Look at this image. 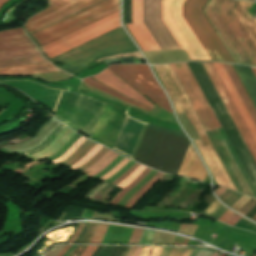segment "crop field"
<instances>
[{"instance_id": "7", "label": "crop field", "mask_w": 256, "mask_h": 256, "mask_svg": "<svg viewBox=\"0 0 256 256\" xmlns=\"http://www.w3.org/2000/svg\"><path fill=\"white\" fill-rule=\"evenodd\" d=\"M120 26L121 25L119 23L118 11L102 20H99L81 30H78L62 39H59L43 47V49L45 50L47 56L52 59Z\"/></svg>"}, {"instance_id": "8", "label": "crop field", "mask_w": 256, "mask_h": 256, "mask_svg": "<svg viewBox=\"0 0 256 256\" xmlns=\"http://www.w3.org/2000/svg\"><path fill=\"white\" fill-rule=\"evenodd\" d=\"M109 68L144 95L150 97L158 106L172 112L165 93L154 80L148 66L112 65Z\"/></svg>"}, {"instance_id": "47", "label": "crop field", "mask_w": 256, "mask_h": 256, "mask_svg": "<svg viewBox=\"0 0 256 256\" xmlns=\"http://www.w3.org/2000/svg\"><path fill=\"white\" fill-rule=\"evenodd\" d=\"M187 242H188V239H184L177 236L173 245H186Z\"/></svg>"}, {"instance_id": "61", "label": "crop field", "mask_w": 256, "mask_h": 256, "mask_svg": "<svg viewBox=\"0 0 256 256\" xmlns=\"http://www.w3.org/2000/svg\"><path fill=\"white\" fill-rule=\"evenodd\" d=\"M249 1H254V0H249ZM254 2H256V1H254Z\"/></svg>"}, {"instance_id": "3", "label": "crop field", "mask_w": 256, "mask_h": 256, "mask_svg": "<svg viewBox=\"0 0 256 256\" xmlns=\"http://www.w3.org/2000/svg\"><path fill=\"white\" fill-rule=\"evenodd\" d=\"M239 0H210L205 14L238 63L256 65V46L233 13Z\"/></svg>"}, {"instance_id": "2", "label": "crop field", "mask_w": 256, "mask_h": 256, "mask_svg": "<svg viewBox=\"0 0 256 256\" xmlns=\"http://www.w3.org/2000/svg\"><path fill=\"white\" fill-rule=\"evenodd\" d=\"M163 0L162 20L177 42L180 49L186 51L190 59L219 60L233 62V58L203 14L208 0ZM183 17L198 38L185 22ZM132 22L127 27L143 51L160 50L152 36L142 23V0H132Z\"/></svg>"}, {"instance_id": "15", "label": "crop field", "mask_w": 256, "mask_h": 256, "mask_svg": "<svg viewBox=\"0 0 256 256\" xmlns=\"http://www.w3.org/2000/svg\"><path fill=\"white\" fill-rule=\"evenodd\" d=\"M93 77L99 82L119 91L120 93L135 101L145 104L151 108L155 106L146 99H144L142 96H140L138 93H136L133 89H131L127 84H125L122 80H120L108 69L102 72L101 74Z\"/></svg>"}, {"instance_id": "36", "label": "crop field", "mask_w": 256, "mask_h": 256, "mask_svg": "<svg viewBox=\"0 0 256 256\" xmlns=\"http://www.w3.org/2000/svg\"><path fill=\"white\" fill-rule=\"evenodd\" d=\"M129 162V160L127 159H123V161L118 164L112 171H110L109 173H107L106 175H104L102 178H100V180L104 181L106 179H108L109 177H111L113 174L117 173L125 164H127Z\"/></svg>"}, {"instance_id": "44", "label": "crop field", "mask_w": 256, "mask_h": 256, "mask_svg": "<svg viewBox=\"0 0 256 256\" xmlns=\"http://www.w3.org/2000/svg\"><path fill=\"white\" fill-rule=\"evenodd\" d=\"M84 223H81L77 229V231L75 232V234L72 236V238L69 240L68 243H74V241L76 240L77 236L79 235V233L81 232L82 228H83Z\"/></svg>"}, {"instance_id": "52", "label": "crop field", "mask_w": 256, "mask_h": 256, "mask_svg": "<svg viewBox=\"0 0 256 256\" xmlns=\"http://www.w3.org/2000/svg\"><path fill=\"white\" fill-rule=\"evenodd\" d=\"M77 246H72L64 256H68Z\"/></svg>"}, {"instance_id": "39", "label": "crop field", "mask_w": 256, "mask_h": 256, "mask_svg": "<svg viewBox=\"0 0 256 256\" xmlns=\"http://www.w3.org/2000/svg\"><path fill=\"white\" fill-rule=\"evenodd\" d=\"M196 227L197 226H193V225H181L178 231L192 235Z\"/></svg>"}, {"instance_id": "38", "label": "crop field", "mask_w": 256, "mask_h": 256, "mask_svg": "<svg viewBox=\"0 0 256 256\" xmlns=\"http://www.w3.org/2000/svg\"><path fill=\"white\" fill-rule=\"evenodd\" d=\"M140 166V164L135 163L126 173H124L119 179H117L115 182H113L112 184L114 185H118L121 181H123L124 179H126L127 177H129V175L131 173H133L138 167Z\"/></svg>"}, {"instance_id": "50", "label": "crop field", "mask_w": 256, "mask_h": 256, "mask_svg": "<svg viewBox=\"0 0 256 256\" xmlns=\"http://www.w3.org/2000/svg\"><path fill=\"white\" fill-rule=\"evenodd\" d=\"M71 245H66L56 256H63Z\"/></svg>"}, {"instance_id": "35", "label": "crop field", "mask_w": 256, "mask_h": 256, "mask_svg": "<svg viewBox=\"0 0 256 256\" xmlns=\"http://www.w3.org/2000/svg\"><path fill=\"white\" fill-rule=\"evenodd\" d=\"M97 143L92 142L77 158H75L73 161H71L69 164L65 165L67 167L71 166L72 164L76 163L77 161L81 160L86 156V154L91 151ZM73 166V165H72Z\"/></svg>"}, {"instance_id": "48", "label": "crop field", "mask_w": 256, "mask_h": 256, "mask_svg": "<svg viewBox=\"0 0 256 256\" xmlns=\"http://www.w3.org/2000/svg\"><path fill=\"white\" fill-rule=\"evenodd\" d=\"M230 211V210H229ZM228 210L219 218V220L223 222H227V220L232 216L233 213L229 212ZM218 220V221H219Z\"/></svg>"}, {"instance_id": "23", "label": "crop field", "mask_w": 256, "mask_h": 256, "mask_svg": "<svg viewBox=\"0 0 256 256\" xmlns=\"http://www.w3.org/2000/svg\"><path fill=\"white\" fill-rule=\"evenodd\" d=\"M164 174L158 172L142 189H140L125 205L126 208L132 209L136 201L148 191L156 182H158Z\"/></svg>"}, {"instance_id": "40", "label": "crop field", "mask_w": 256, "mask_h": 256, "mask_svg": "<svg viewBox=\"0 0 256 256\" xmlns=\"http://www.w3.org/2000/svg\"><path fill=\"white\" fill-rule=\"evenodd\" d=\"M143 230L134 229L128 244L138 243Z\"/></svg>"}, {"instance_id": "25", "label": "crop field", "mask_w": 256, "mask_h": 256, "mask_svg": "<svg viewBox=\"0 0 256 256\" xmlns=\"http://www.w3.org/2000/svg\"><path fill=\"white\" fill-rule=\"evenodd\" d=\"M227 209L220 205V203L215 200L204 212L203 215L210 216L214 219H218Z\"/></svg>"}, {"instance_id": "18", "label": "crop field", "mask_w": 256, "mask_h": 256, "mask_svg": "<svg viewBox=\"0 0 256 256\" xmlns=\"http://www.w3.org/2000/svg\"><path fill=\"white\" fill-rule=\"evenodd\" d=\"M33 46L35 45L22 28L0 32V51Z\"/></svg>"}, {"instance_id": "9", "label": "crop field", "mask_w": 256, "mask_h": 256, "mask_svg": "<svg viewBox=\"0 0 256 256\" xmlns=\"http://www.w3.org/2000/svg\"><path fill=\"white\" fill-rule=\"evenodd\" d=\"M102 0H49V8L29 19L26 31L30 34L83 10Z\"/></svg>"}, {"instance_id": "43", "label": "crop field", "mask_w": 256, "mask_h": 256, "mask_svg": "<svg viewBox=\"0 0 256 256\" xmlns=\"http://www.w3.org/2000/svg\"><path fill=\"white\" fill-rule=\"evenodd\" d=\"M96 248L97 246H87L86 250L81 256H92Z\"/></svg>"}, {"instance_id": "31", "label": "crop field", "mask_w": 256, "mask_h": 256, "mask_svg": "<svg viewBox=\"0 0 256 256\" xmlns=\"http://www.w3.org/2000/svg\"><path fill=\"white\" fill-rule=\"evenodd\" d=\"M108 225H99L91 243H100Z\"/></svg>"}, {"instance_id": "28", "label": "crop field", "mask_w": 256, "mask_h": 256, "mask_svg": "<svg viewBox=\"0 0 256 256\" xmlns=\"http://www.w3.org/2000/svg\"><path fill=\"white\" fill-rule=\"evenodd\" d=\"M65 127V125H61L59 128H57L53 133L52 135L44 142L41 144V146L33 151H29V152H25L26 155L28 154H32V153H35V152H38L42 149H44L53 139L54 137ZM24 154V155H25Z\"/></svg>"}, {"instance_id": "16", "label": "crop field", "mask_w": 256, "mask_h": 256, "mask_svg": "<svg viewBox=\"0 0 256 256\" xmlns=\"http://www.w3.org/2000/svg\"><path fill=\"white\" fill-rule=\"evenodd\" d=\"M62 123L58 122L56 119L52 118L49 120L42 130L32 139L18 143L16 145L5 147V150L8 152H25L33 150L44 142L51 133L61 125Z\"/></svg>"}, {"instance_id": "5", "label": "crop field", "mask_w": 256, "mask_h": 256, "mask_svg": "<svg viewBox=\"0 0 256 256\" xmlns=\"http://www.w3.org/2000/svg\"><path fill=\"white\" fill-rule=\"evenodd\" d=\"M105 105L87 95L66 90L55 117L77 132L81 130L92 136Z\"/></svg>"}, {"instance_id": "53", "label": "crop field", "mask_w": 256, "mask_h": 256, "mask_svg": "<svg viewBox=\"0 0 256 256\" xmlns=\"http://www.w3.org/2000/svg\"><path fill=\"white\" fill-rule=\"evenodd\" d=\"M191 251H192V250L185 249V251H184V253H183L182 256H188V255H190Z\"/></svg>"}, {"instance_id": "37", "label": "crop field", "mask_w": 256, "mask_h": 256, "mask_svg": "<svg viewBox=\"0 0 256 256\" xmlns=\"http://www.w3.org/2000/svg\"><path fill=\"white\" fill-rule=\"evenodd\" d=\"M108 149L102 148L93 158H91L84 166L78 168L79 170H84L90 165H92L102 154H104Z\"/></svg>"}, {"instance_id": "13", "label": "crop field", "mask_w": 256, "mask_h": 256, "mask_svg": "<svg viewBox=\"0 0 256 256\" xmlns=\"http://www.w3.org/2000/svg\"><path fill=\"white\" fill-rule=\"evenodd\" d=\"M146 124L127 115L113 150L133 159Z\"/></svg>"}, {"instance_id": "11", "label": "crop field", "mask_w": 256, "mask_h": 256, "mask_svg": "<svg viewBox=\"0 0 256 256\" xmlns=\"http://www.w3.org/2000/svg\"><path fill=\"white\" fill-rule=\"evenodd\" d=\"M203 65L256 161V142L247 128L243 118L241 117L237 107L235 106L231 96L229 95L225 85L223 84L219 74L217 73L213 63H203Z\"/></svg>"}, {"instance_id": "14", "label": "crop field", "mask_w": 256, "mask_h": 256, "mask_svg": "<svg viewBox=\"0 0 256 256\" xmlns=\"http://www.w3.org/2000/svg\"><path fill=\"white\" fill-rule=\"evenodd\" d=\"M47 60L37 47L0 52V67L16 66Z\"/></svg>"}, {"instance_id": "29", "label": "crop field", "mask_w": 256, "mask_h": 256, "mask_svg": "<svg viewBox=\"0 0 256 256\" xmlns=\"http://www.w3.org/2000/svg\"><path fill=\"white\" fill-rule=\"evenodd\" d=\"M163 248L158 247H144L140 256H159Z\"/></svg>"}, {"instance_id": "21", "label": "crop field", "mask_w": 256, "mask_h": 256, "mask_svg": "<svg viewBox=\"0 0 256 256\" xmlns=\"http://www.w3.org/2000/svg\"><path fill=\"white\" fill-rule=\"evenodd\" d=\"M251 5V2L240 0L233 11L256 44V20H253L248 11Z\"/></svg>"}, {"instance_id": "58", "label": "crop field", "mask_w": 256, "mask_h": 256, "mask_svg": "<svg viewBox=\"0 0 256 256\" xmlns=\"http://www.w3.org/2000/svg\"><path fill=\"white\" fill-rule=\"evenodd\" d=\"M7 0H0V6L3 5L4 2H6Z\"/></svg>"}, {"instance_id": "46", "label": "crop field", "mask_w": 256, "mask_h": 256, "mask_svg": "<svg viewBox=\"0 0 256 256\" xmlns=\"http://www.w3.org/2000/svg\"><path fill=\"white\" fill-rule=\"evenodd\" d=\"M184 249L172 248L168 256H180Z\"/></svg>"}, {"instance_id": "49", "label": "crop field", "mask_w": 256, "mask_h": 256, "mask_svg": "<svg viewBox=\"0 0 256 256\" xmlns=\"http://www.w3.org/2000/svg\"><path fill=\"white\" fill-rule=\"evenodd\" d=\"M211 254H212V252L200 250V252L196 256H210Z\"/></svg>"}, {"instance_id": "30", "label": "crop field", "mask_w": 256, "mask_h": 256, "mask_svg": "<svg viewBox=\"0 0 256 256\" xmlns=\"http://www.w3.org/2000/svg\"><path fill=\"white\" fill-rule=\"evenodd\" d=\"M90 143H91V141H89V140L85 141L70 157H68L67 159H65L64 161H62L58 164L64 165V164L70 162L75 157H77Z\"/></svg>"}, {"instance_id": "4", "label": "crop field", "mask_w": 256, "mask_h": 256, "mask_svg": "<svg viewBox=\"0 0 256 256\" xmlns=\"http://www.w3.org/2000/svg\"><path fill=\"white\" fill-rule=\"evenodd\" d=\"M135 51L137 49L122 27H120L53 59V61L66 62L60 68L73 74L95 59Z\"/></svg>"}, {"instance_id": "17", "label": "crop field", "mask_w": 256, "mask_h": 256, "mask_svg": "<svg viewBox=\"0 0 256 256\" xmlns=\"http://www.w3.org/2000/svg\"><path fill=\"white\" fill-rule=\"evenodd\" d=\"M177 175L204 181L207 173L190 144Z\"/></svg>"}, {"instance_id": "32", "label": "crop field", "mask_w": 256, "mask_h": 256, "mask_svg": "<svg viewBox=\"0 0 256 256\" xmlns=\"http://www.w3.org/2000/svg\"><path fill=\"white\" fill-rule=\"evenodd\" d=\"M112 153H114V152H112L110 150L107 151L100 159H98V161L95 164H93L90 168H88V169H86V170H84L82 172H84L86 174L92 172L94 169H96L98 166H100L103 163V161L106 158H108Z\"/></svg>"}, {"instance_id": "20", "label": "crop field", "mask_w": 256, "mask_h": 256, "mask_svg": "<svg viewBox=\"0 0 256 256\" xmlns=\"http://www.w3.org/2000/svg\"><path fill=\"white\" fill-rule=\"evenodd\" d=\"M74 134L76 133L67 127L44 150L27 157L34 161L50 157L55 154Z\"/></svg>"}, {"instance_id": "56", "label": "crop field", "mask_w": 256, "mask_h": 256, "mask_svg": "<svg viewBox=\"0 0 256 256\" xmlns=\"http://www.w3.org/2000/svg\"><path fill=\"white\" fill-rule=\"evenodd\" d=\"M198 251H199V250L194 249L193 252H192V254H191L190 256H195Z\"/></svg>"}, {"instance_id": "34", "label": "crop field", "mask_w": 256, "mask_h": 256, "mask_svg": "<svg viewBox=\"0 0 256 256\" xmlns=\"http://www.w3.org/2000/svg\"><path fill=\"white\" fill-rule=\"evenodd\" d=\"M118 156L119 155L114 153L99 168H97L95 171H93L92 173H90V174H88L86 176L92 177V176L98 174L102 169H104L106 166H108Z\"/></svg>"}, {"instance_id": "10", "label": "crop field", "mask_w": 256, "mask_h": 256, "mask_svg": "<svg viewBox=\"0 0 256 256\" xmlns=\"http://www.w3.org/2000/svg\"><path fill=\"white\" fill-rule=\"evenodd\" d=\"M214 65H215L218 73L220 74L224 84L226 85L230 95L232 96L236 106L238 107L242 117L244 118L248 128L250 129L253 137L256 140V127H255V125H256V109L254 108L250 98L248 97L244 87L242 86V84H241L238 76L236 75L232 65L223 64L227 74L229 75L233 85L235 86L239 96L241 97V99H242L245 107L247 108L251 118L253 119L255 125H254L252 119L250 118L246 108L244 107L240 97L238 96L234 86L232 85L228 75L226 74L222 64L214 63Z\"/></svg>"}, {"instance_id": "27", "label": "crop field", "mask_w": 256, "mask_h": 256, "mask_svg": "<svg viewBox=\"0 0 256 256\" xmlns=\"http://www.w3.org/2000/svg\"><path fill=\"white\" fill-rule=\"evenodd\" d=\"M242 195L231 191L229 189L226 190V192L220 196L219 198L229 207L234 204L239 198H241Z\"/></svg>"}, {"instance_id": "59", "label": "crop field", "mask_w": 256, "mask_h": 256, "mask_svg": "<svg viewBox=\"0 0 256 256\" xmlns=\"http://www.w3.org/2000/svg\"><path fill=\"white\" fill-rule=\"evenodd\" d=\"M211 256H217V254H216V253H214V254H212Z\"/></svg>"}, {"instance_id": "24", "label": "crop field", "mask_w": 256, "mask_h": 256, "mask_svg": "<svg viewBox=\"0 0 256 256\" xmlns=\"http://www.w3.org/2000/svg\"><path fill=\"white\" fill-rule=\"evenodd\" d=\"M83 81L89 83L90 85L94 86L95 88H97V89H99V90H101V91H103L105 93H108V94H110L112 96H115L117 98H120V99H122V100H124V101H126V102H128L130 104L136 105L138 107H141V108H144V109L150 111V109H148V108H146V107H144V106H142V105H140V104H138V103H136V102H134V101H132V100H130L128 98H125V97L119 95L118 93L112 91L111 89L105 87L104 85H102V84H100V83H98V82H96V81H94V80H92L90 78H85V79H83Z\"/></svg>"}, {"instance_id": "60", "label": "crop field", "mask_w": 256, "mask_h": 256, "mask_svg": "<svg viewBox=\"0 0 256 256\" xmlns=\"http://www.w3.org/2000/svg\"><path fill=\"white\" fill-rule=\"evenodd\" d=\"M252 220L256 221V216Z\"/></svg>"}, {"instance_id": "57", "label": "crop field", "mask_w": 256, "mask_h": 256, "mask_svg": "<svg viewBox=\"0 0 256 256\" xmlns=\"http://www.w3.org/2000/svg\"><path fill=\"white\" fill-rule=\"evenodd\" d=\"M251 69H252V71H253V73H254V75L256 77V68L251 67Z\"/></svg>"}, {"instance_id": "54", "label": "crop field", "mask_w": 256, "mask_h": 256, "mask_svg": "<svg viewBox=\"0 0 256 256\" xmlns=\"http://www.w3.org/2000/svg\"><path fill=\"white\" fill-rule=\"evenodd\" d=\"M142 250V247H138L135 254L133 256H139L140 252Z\"/></svg>"}, {"instance_id": "51", "label": "crop field", "mask_w": 256, "mask_h": 256, "mask_svg": "<svg viewBox=\"0 0 256 256\" xmlns=\"http://www.w3.org/2000/svg\"><path fill=\"white\" fill-rule=\"evenodd\" d=\"M226 189L219 187L215 190V194L219 197Z\"/></svg>"}, {"instance_id": "6", "label": "crop field", "mask_w": 256, "mask_h": 256, "mask_svg": "<svg viewBox=\"0 0 256 256\" xmlns=\"http://www.w3.org/2000/svg\"><path fill=\"white\" fill-rule=\"evenodd\" d=\"M118 10L119 0H106L45 29H42L32 34V36L43 47Z\"/></svg>"}, {"instance_id": "19", "label": "crop field", "mask_w": 256, "mask_h": 256, "mask_svg": "<svg viewBox=\"0 0 256 256\" xmlns=\"http://www.w3.org/2000/svg\"><path fill=\"white\" fill-rule=\"evenodd\" d=\"M50 62L23 65L16 67L0 68V76L7 75H33L41 73L58 72Z\"/></svg>"}, {"instance_id": "42", "label": "crop field", "mask_w": 256, "mask_h": 256, "mask_svg": "<svg viewBox=\"0 0 256 256\" xmlns=\"http://www.w3.org/2000/svg\"><path fill=\"white\" fill-rule=\"evenodd\" d=\"M250 198L249 197H245L243 196L236 204H234L232 207V209L234 210H238L242 205H244Z\"/></svg>"}, {"instance_id": "26", "label": "crop field", "mask_w": 256, "mask_h": 256, "mask_svg": "<svg viewBox=\"0 0 256 256\" xmlns=\"http://www.w3.org/2000/svg\"><path fill=\"white\" fill-rule=\"evenodd\" d=\"M151 169L146 168L135 180H133L124 190H122L113 200L112 204H117L120 199L129 191L131 190L143 177H145Z\"/></svg>"}, {"instance_id": "1", "label": "crop field", "mask_w": 256, "mask_h": 256, "mask_svg": "<svg viewBox=\"0 0 256 256\" xmlns=\"http://www.w3.org/2000/svg\"><path fill=\"white\" fill-rule=\"evenodd\" d=\"M182 65H183L186 73L188 74L192 84L194 85L198 95L200 96L204 106L206 107L210 117L212 118L216 128H219L220 125H219L215 115L213 114L208 102L206 101L201 89L199 88L194 76L192 75L187 63H182ZM182 65H181V63L176 64L181 76L183 77L188 89L190 90V92H191L196 104L198 105L203 117L205 118L210 130L215 129V126H214L211 118L209 117L205 107L203 106L199 96L197 95V93H196L193 85L191 84L187 74L185 73ZM170 66H171L175 76L177 77L182 89L184 90L189 102L191 103L196 115L198 116L202 126L204 127L205 131L209 130L204 118L202 117L197 105L195 104V102H194L189 90L187 89L182 77L180 76L175 64H170ZM170 66H169V64H164V65H156V66H154V68H155L159 78L161 79L165 89L167 90V92H168V94H169V96H170V98H171V100L174 104L177 114L179 115V114H183L185 112L186 117L188 118L190 123L193 125L195 131L197 132L201 141H197V140H194V141L196 142L200 152L202 153V155H203L206 163L208 164L212 174L214 175L218 185H222V186H225V187H227L229 189H233V190L237 189V191H239L243 194L246 193V195H248L250 197H253L250 189L248 188L244 178L242 177L239 169L237 168L233 158L231 157L228 149L226 148V146H225L222 138L220 137L217 129L212 130V133H213L215 139L217 140L220 148L222 149L225 157L227 158V160H228L231 168L233 169L236 177L238 178L241 186L243 187L245 193H244L242 187L240 186L237 178L235 177L232 169L230 168V166H229L226 158L224 157L221 149L219 148L216 140L214 139L211 131H208L206 133H207L209 139L211 140L216 152L218 153L223 165L225 166L230 178L232 179V181H233V183L236 187V189H235V187H234L233 183L231 182L227 172L225 171L222 163L220 162L216 152L214 151L211 143L209 142L205 132L203 131L196 115L194 114L187 98L185 97L178 81L176 80ZM182 108H183L184 112H183Z\"/></svg>"}, {"instance_id": "22", "label": "crop field", "mask_w": 256, "mask_h": 256, "mask_svg": "<svg viewBox=\"0 0 256 256\" xmlns=\"http://www.w3.org/2000/svg\"><path fill=\"white\" fill-rule=\"evenodd\" d=\"M235 67L256 104V78L254 77L250 67L237 65H235Z\"/></svg>"}, {"instance_id": "41", "label": "crop field", "mask_w": 256, "mask_h": 256, "mask_svg": "<svg viewBox=\"0 0 256 256\" xmlns=\"http://www.w3.org/2000/svg\"><path fill=\"white\" fill-rule=\"evenodd\" d=\"M65 246V245H64ZM64 246H55L42 256H55Z\"/></svg>"}, {"instance_id": "33", "label": "crop field", "mask_w": 256, "mask_h": 256, "mask_svg": "<svg viewBox=\"0 0 256 256\" xmlns=\"http://www.w3.org/2000/svg\"><path fill=\"white\" fill-rule=\"evenodd\" d=\"M154 233H155V232L144 230V231H143V234H142V236H141V239H140L139 244H148V245H151V244H152L153 237H154Z\"/></svg>"}, {"instance_id": "55", "label": "crop field", "mask_w": 256, "mask_h": 256, "mask_svg": "<svg viewBox=\"0 0 256 256\" xmlns=\"http://www.w3.org/2000/svg\"><path fill=\"white\" fill-rule=\"evenodd\" d=\"M135 249H136V247H132L131 250L129 251V253L127 254V256H132Z\"/></svg>"}, {"instance_id": "12", "label": "crop field", "mask_w": 256, "mask_h": 256, "mask_svg": "<svg viewBox=\"0 0 256 256\" xmlns=\"http://www.w3.org/2000/svg\"><path fill=\"white\" fill-rule=\"evenodd\" d=\"M0 83L15 87L26 93L31 98L43 103L56 111L64 90L48 88L45 84L30 78L2 79Z\"/></svg>"}, {"instance_id": "45", "label": "crop field", "mask_w": 256, "mask_h": 256, "mask_svg": "<svg viewBox=\"0 0 256 256\" xmlns=\"http://www.w3.org/2000/svg\"><path fill=\"white\" fill-rule=\"evenodd\" d=\"M241 218H242V217L238 216L237 214H234V215L228 220V222H227L226 224L234 226L235 223H236L239 219H241Z\"/></svg>"}]
</instances>
